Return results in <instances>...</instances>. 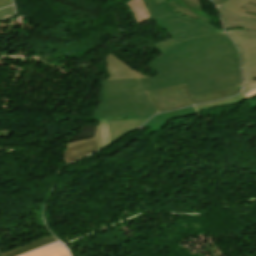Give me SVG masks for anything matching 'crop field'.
Wrapping results in <instances>:
<instances>
[{"instance_id": "obj_1", "label": "crop field", "mask_w": 256, "mask_h": 256, "mask_svg": "<svg viewBox=\"0 0 256 256\" xmlns=\"http://www.w3.org/2000/svg\"><path fill=\"white\" fill-rule=\"evenodd\" d=\"M161 54L145 77L122 60L105 58L108 78L100 81L101 103L92 117L149 118L155 106L145 92L185 83L191 96L241 84L237 51L225 33L195 37L177 44L171 38L152 45Z\"/></svg>"}, {"instance_id": "obj_16", "label": "crop field", "mask_w": 256, "mask_h": 256, "mask_svg": "<svg viewBox=\"0 0 256 256\" xmlns=\"http://www.w3.org/2000/svg\"><path fill=\"white\" fill-rule=\"evenodd\" d=\"M13 15H14V12H13L12 6L0 10V19L10 17Z\"/></svg>"}, {"instance_id": "obj_6", "label": "crop field", "mask_w": 256, "mask_h": 256, "mask_svg": "<svg viewBox=\"0 0 256 256\" xmlns=\"http://www.w3.org/2000/svg\"><path fill=\"white\" fill-rule=\"evenodd\" d=\"M147 119H107L110 140L113 141L124 133L141 126Z\"/></svg>"}, {"instance_id": "obj_11", "label": "crop field", "mask_w": 256, "mask_h": 256, "mask_svg": "<svg viewBox=\"0 0 256 256\" xmlns=\"http://www.w3.org/2000/svg\"><path fill=\"white\" fill-rule=\"evenodd\" d=\"M192 115H196L194 107L160 113L156 116L151 117L150 119L161 120V119L186 117V116H192Z\"/></svg>"}, {"instance_id": "obj_5", "label": "crop field", "mask_w": 256, "mask_h": 256, "mask_svg": "<svg viewBox=\"0 0 256 256\" xmlns=\"http://www.w3.org/2000/svg\"><path fill=\"white\" fill-rule=\"evenodd\" d=\"M170 5L183 16H189L202 20L204 22H212L204 13L201 0H167Z\"/></svg>"}, {"instance_id": "obj_4", "label": "crop field", "mask_w": 256, "mask_h": 256, "mask_svg": "<svg viewBox=\"0 0 256 256\" xmlns=\"http://www.w3.org/2000/svg\"><path fill=\"white\" fill-rule=\"evenodd\" d=\"M240 89L241 85L217 92L190 97L185 85L182 84L174 87L148 92L147 95L149 96L156 110L158 112H161L169 109L179 108L231 96L238 93Z\"/></svg>"}, {"instance_id": "obj_10", "label": "crop field", "mask_w": 256, "mask_h": 256, "mask_svg": "<svg viewBox=\"0 0 256 256\" xmlns=\"http://www.w3.org/2000/svg\"><path fill=\"white\" fill-rule=\"evenodd\" d=\"M57 241V239H55L52 235L47 236L45 238L39 239L37 241L31 242L29 244H26L24 246H21L15 250H12L10 252L7 253H3L2 256H18L20 254L26 253L28 251L46 246L50 243H53Z\"/></svg>"}, {"instance_id": "obj_9", "label": "crop field", "mask_w": 256, "mask_h": 256, "mask_svg": "<svg viewBox=\"0 0 256 256\" xmlns=\"http://www.w3.org/2000/svg\"><path fill=\"white\" fill-rule=\"evenodd\" d=\"M20 256H70L65 247L59 242H55L46 247L28 252Z\"/></svg>"}, {"instance_id": "obj_14", "label": "crop field", "mask_w": 256, "mask_h": 256, "mask_svg": "<svg viewBox=\"0 0 256 256\" xmlns=\"http://www.w3.org/2000/svg\"><path fill=\"white\" fill-rule=\"evenodd\" d=\"M170 120H161V121H155V120H149L144 126L142 127H148L151 128L148 134L155 132L161 128H163Z\"/></svg>"}, {"instance_id": "obj_15", "label": "crop field", "mask_w": 256, "mask_h": 256, "mask_svg": "<svg viewBox=\"0 0 256 256\" xmlns=\"http://www.w3.org/2000/svg\"><path fill=\"white\" fill-rule=\"evenodd\" d=\"M100 125H101V134H102V143H103V146H106L108 143H110L106 120H100Z\"/></svg>"}, {"instance_id": "obj_17", "label": "crop field", "mask_w": 256, "mask_h": 256, "mask_svg": "<svg viewBox=\"0 0 256 256\" xmlns=\"http://www.w3.org/2000/svg\"><path fill=\"white\" fill-rule=\"evenodd\" d=\"M11 1L10 0H0V8L11 5Z\"/></svg>"}, {"instance_id": "obj_3", "label": "crop field", "mask_w": 256, "mask_h": 256, "mask_svg": "<svg viewBox=\"0 0 256 256\" xmlns=\"http://www.w3.org/2000/svg\"><path fill=\"white\" fill-rule=\"evenodd\" d=\"M218 11L227 33L241 52L243 83L256 79V21Z\"/></svg>"}, {"instance_id": "obj_2", "label": "crop field", "mask_w": 256, "mask_h": 256, "mask_svg": "<svg viewBox=\"0 0 256 256\" xmlns=\"http://www.w3.org/2000/svg\"><path fill=\"white\" fill-rule=\"evenodd\" d=\"M127 4L137 24L152 18L177 43L195 36L223 32L199 20L182 17L166 0H133Z\"/></svg>"}, {"instance_id": "obj_19", "label": "crop field", "mask_w": 256, "mask_h": 256, "mask_svg": "<svg viewBox=\"0 0 256 256\" xmlns=\"http://www.w3.org/2000/svg\"><path fill=\"white\" fill-rule=\"evenodd\" d=\"M250 106H251V108L256 107V100H254V101L250 102Z\"/></svg>"}, {"instance_id": "obj_8", "label": "crop field", "mask_w": 256, "mask_h": 256, "mask_svg": "<svg viewBox=\"0 0 256 256\" xmlns=\"http://www.w3.org/2000/svg\"><path fill=\"white\" fill-rule=\"evenodd\" d=\"M97 151L96 141L91 140L78 145L67 147L64 153L65 163L76 161L86 155Z\"/></svg>"}, {"instance_id": "obj_12", "label": "crop field", "mask_w": 256, "mask_h": 256, "mask_svg": "<svg viewBox=\"0 0 256 256\" xmlns=\"http://www.w3.org/2000/svg\"><path fill=\"white\" fill-rule=\"evenodd\" d=\"M243 100H244V98H243L242 94L240 93L238 96L223 99V100H219V101H215V102H211V103L202 104V105H199V106H195V108H196L197 112H199V111L209 109V108H212V107H218V106H224V105L239 103Z\"/></svg>"}, {"instance_id": "obj_20", "label": "crop field", "mask_w": 256, "mask_h": 256, "mask_svg": "<svg viewBox=\"0 0 256 256\" xmlns=\"http://www.w3.org/2000/svg\"><path fill=\"white\" fill-rule=\"evenodd\" d=\"M0 256H1V253H0Z\"/></svg>"}, {"instance_id": "obj_7", "label": "crop field", "mask_w": 256, "mask_h": 256, "mask_svg": "<svg viewBox=\"0 0 256 256\" xmlns=\"http://www.w3.org/2000/svg\"><path fill=\"white\" fill-rule=\"evenodd\" d=\"M218 7L242 16L256 19V0H229Z\"/></svg>"}, {"instance_id": "obj_18", "label": "crop field", "mask_w": 256, "mask_h": 256, "mask_svg": "<svg viewBox=\"0 0 256 256\" xmlns=\"http://www.w3.org/2000/svg\"><path fill=\"white\" fill-rule=\"evenodd\" d=\"M216 5L225 2L226 0H212Z\"/></svg>"}, {"instance_id": "obj_13", "label": "crop field", "mask_w": 256, "mask_h": 256, "mask_svg": "<svg viewBox=\"0 0 256 256\" xmlns=\"http://www.w3.org/2000/svg\"><path fill=\"white\" fill-rule=\"evenodd\" d=\"M241 92L245 99L256 96V80L244 83L243 90Z\"/></svg>"}]
</instances>
